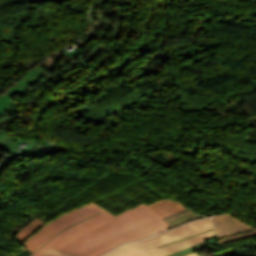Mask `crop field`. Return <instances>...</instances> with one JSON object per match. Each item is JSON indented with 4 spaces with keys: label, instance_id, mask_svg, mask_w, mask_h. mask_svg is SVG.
<instances>
[{
    "label": "crop field",
    "instance_id": "d8731c3e",
    "mask_svg": "<svg viewBox=\"0 0 256 256\" xmlns=\"http://www.w3.org/2000/svg\"><path fill=\"white\" fill-rule=\"evenodd\" d=\"M201 217L202 216L187 209V210L181 211L179 213L173 214V215L163 219V221H165L169 226L174 228V227L180 226L182 224H185L191 220H195V219H198Z\"/></svg>",
    "mask_w": 256,
    "mask_h": 256
},
{
    "label": "crop field",
    "instance_id": "22f410ed",
    "mask_svg": "<svg viewBox=\"0 0 256 256\" xmlns=\"http://www.w3.org/2000/svg\"><path fill=\"white\" fill-rule=\"evenodd\" d=\"M203 233V232H202ZM200 234V233H199ZM197 235V234H196ZM194 236V235H193ZM191 237V236H190ZM188 238V237H187ZM183 240V239H182ZM180 241V240H179ZM177 242V241H176ZM174 243V242H173ZM171 244V243H170ZM168 245V244H167ZM165 246V245H164ZM162 247V246H161ZM159 248V247H158Z\"/></svg>",
    "mask_w": 256,
    "mask_h": 256
},
{
    "label": "crop field",
    "instance_id": "f4fd0767",
    "mask_svg": "<svg viewBox=\"0 0 256 256\" xmlns=\"http://www.w3.org/2000/svg\"><path fill=\"white\" fill-rule=\"evenodd\" d=\"M212 219L217 234L216 245L256 235L255 228L235 219L229 214L212 217ZM229 235L232 237L227 240L218 239Z\"/></svg>",
    "mask_w": 256,
    "mask_h": 256
},
{
    "label": "crop field",
    "instance_id": "d1516ede",
    "mask_svg": "<svg viewBox=\"0 0 256 256\" xmlns=\"http://www.w3.org/2000/svg\"><path fill=\"white\" fill-rule=\"evenodd\" d=\"M4 162V161H3ZM5 167V165L4 164H0V174H1V172H2V170H3V168Z\"/></svg>",
    "mask_w": 256,
    "mask_h": 256
},
{
    "label": "crop field",
    "instance_id": "ac0d7876",
    "mask_svg": "<svg viewBox=\"0 0 256 256\" xmlns=\"http://www.w3.org/2000/svg\"><path fill=\"white\" fill-rule=\"evenodd\" d=\"M210 219H200L173 229L167 233L159 234L138 242L127 243L103 256H166L189 246L208 241L215 237L214 230L185 239L183 241L157 249L156 247L182 239L184 237L211 229ZM184 256H199L196 252Z\"/></svg>",
    "mask_w": 256,
    "mask_h": 256
},
{
    "label": "crop field",
    "instance_id": "28ad6ade",
    "mask_svg": "<svg viewBox=\"0 0 256 256\" xmlns=\"http://www.w3.org/2000/svg\"><path fill=\"white\" fill-rule=\"evenodd\" d=\"M66 254H63V253H60L58 251H55V250H50L48 253H46L45 255L43 256H65Z\"/></svg>",
    "mask_w": 256,
    "mask_h": 256
},
{
    "label": "crop field",
    "instance_id": "e52e79f7",
    "mask_svg": "<svg viewBox=\"0 0 256 256\" xmlns=\"http://www.w3.org/2000/svg\"><path fill=\"white\" fill-rule=\"evenodd\" d=\"M149 207L162 219L168 215L187 209L182 204L166 198L149 205Z\"/></svg>",
    "mask_w": 256,
    "mask_h": 256
},
{
    "label": "crop field",
    "instance_id": "34b2d1b8",
    "mask_svg": "<svg viewBox=\"0 0 256 256\" xmlns=\"http://www.w3.org/2000/svg\"><path fill=\"white\" fill-rule=\"evenodd\" d=\"M101 211L105 210L92 203L68 214H65L44 226L39 230L38 233H35L34 236L27 240L23 245L32 253L43 246L42 243L56 233Z\"/></svg>",
    "mask_w": 256,
    "mask_h": 256
},
{
    "label": "crop field",
    "instance_id": "3316defc",
    "mask_svg": "<svg viewBox=\"0 0 256 256\" xmlns=\"http://www.w3.org/2000/svg\"><path fill=\"white\" fill-rule=\"evenodd\" d=\"M108 0H100L92 9V13L97 16H104L105 10L104 5L106 4Z\"/></svg>",
    "mask_w": 256,
    "mask_h": 256
},
{
    "label": "crop field",
    "instance_id": "412701ff",
    "mask_svg": "<svg viewBox=\"0 0 256 256\" xmlns=\"http://www.w3.org/2000/svg\"><path fill=\"white\" fill-rule=\"evenodd\" d=\"M50 75L52 73L39 64L24 74L0 96V127L7 122V117L9 116L7 110L14 101L12 96L17 93L26 92L25 90L32 87L39 79Z\"/></svg>",
    "mask_w": 256,
    "mask_h": 256
},
{
    "label": "crop field",
    "instance_id": "cbeb9de0",
    "mask_svg": "<svg viewBox=\"0 0 256 256\" xmlns=\"http://www.w3.org/2000/svg\"><path fill=\"white\" fill-rule=\"evenodd\" d=\"M68 256V255H67Z\"/></svg>",
    "mask_w": 256,
    "mask_h": 256
},
{
    "label": "crop field",
    "instance_id": "dd49c442",
    "mask_svg": "<svg viewBox=\"0 0 256 256\" xmlns=\"http://www.w3.org/2000/svg\"><path fill=\"white\" fill-rule=\"evenodd\" d=\"M5 128L1 129L0 130V147L2 149H4L5 151L11 153L12 151L18 153V150H19V147L20 145H22L21 143L22 142H29V141H25V140H18V139H14V138H10L8 137V135L5 134ZM29 143H33V144H36L37 147L35 149H33L29 154H28V157H35L37 155V153L42 149V147L44 146L43 144H38V143H34V142H29ZM29 145V144H28ZM27 145V146H28ZM26 146V147H27ZM25 147V148H26ZM23 147H21V155H23L27 149H25ZM24 156V155H23ZM22 156V157H23Z\"/></svg>",
    "mask_w": 256,
    "mask_h": 256
},
{
    "label": "crop field",
    "instance_id": "5a996713",
    "mask_svg": "<svg viewBox=\"0 0 256 256\" xmlns=\"http://www.w3.org/2000/svg\"><path fill=\"white\" fill-rule=\"evenodd\" d=\"M46 224L44 221L36 218L31 223L27 224L16 236L15 238L21 243L33 234L36 230H38L41 226Z\"/></svg>",
    "mask_w": 256,
    "mask_h": 256
},
{
    "label": "crop field",
    "instance_id": "8a807250",
    "mask_svg": "<svg viewBox=\"0 0 256 256\" xmlns=\"http://www.w3.org/2000/svg\"><path fill=\"white\" fill-rule=\"evenodd\" d=\"M169 229L144 203L115 217L105 211L79 222L50 238L29 256H42L52 248L76 256H100L124 242Z\"/></svg>",
    "mask_w": 256,
    "mask_h": 256
}]
</instances>
